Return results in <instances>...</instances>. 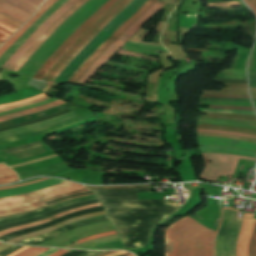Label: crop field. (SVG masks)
<instances>
[{
    "instance_id": "4177f3b9",
    "label": "crop field",
    "mask_w": 256,
    "mask_h": 256,
    "mask_svg": "<svg viewBox=\"0 0 256 256\" xmlns=\"http://www.w3.org/2000/svg\"><path fill=\"white\" fill-rule=\"evenodd\" d=\"M48 249H44V248H33L30 247L24 251H22L21 253L17 254L16 256H35L41 252H44Z\"/></svg>"
},
{
    "instance_id": "8a807250",
    "label": "crop field",
    "mask_w": 256,
    "mask_h": 256,
    "mask_svg": "<svg viewBox=\"0 0 256 256\" xmlns=\"http://www.w3.org/2000/svg\"><path fill=\"white\" fill-rule=\"evenodd\" d=\"M215 231L186 217L166 230L165 256H212Z\"/></svg>"
},
{
    "instance_id": "4a817a6b",
    "label": "crop field",
    "mask_w": 256,
    "mask_h": 256,
    "mask_svg": "<svg viewBox=\"0 0 256 256\" xmlns=\"http://www.w3.org/2000/svg\"><path fill=\"white\" fill-rule=\"evenodd\" d=\"M200 152L204 153H229V154H235L240 156H246V157H256L255 152L242 150V149H236V148H229V147H204L200 146Z\"/></svg>"
},
{
    "instance_id": "5866460e",
    "label": "crop field",
    "mask_w": 256,
    "mask_h": 256,
    "mask_svg": "<svg viewBox=\"0 0 256 256\" xmlns=\"http://www.w3.org/2000/svg\"><path fill=\"white\" fill-rule=\"evenodd\" d=\"M0 19L5 21V22H7V23H9V24H11V25H13V26H15V27H17V28H19L21 26V24L13 21V20H11V19H9V18H7V17H5V16H3L1 14H0Z\"/></svg>"
},
{
    "instance_id": "03da06ac",
    "label": "crop field",
    "mask_w": 256,
    "mask_h": 256,
    "mask_svg": "<svg viewBox=\"0 0 256 256\" xmlns=\"http://www.w3.org/2000/svg\"><path fill=\"white\" fill-rule=\"evenodd\" d=\"M55 251H57V250L51 249V250H48V251H46V252H44V253H42V254H40L38 256H48V255H50L51 253H53Z\"/></svg>"
},
{
    "instance_id": "a9b5d70f",
    "label": "crop field",
    "mask_w": 256,
    "mask_h": 256,
    "mask_svg": "<svg viewBox=\"0 0 256 256\" xmlns=\"http://www.w3.org/2000/svg\"><path fill=\"white\" fill-rule=\"evenodd\" d=\"M248 256H256V220L254 222L253 233L250 237Z\"/></svg>"
},
{
    "instance_id": "f4fd0767",
    "label": "crop field",
    "mask_w": 256,
    "mask_h": 256,
    "mask_svg": "<svg viewBox=\"0 0 256 256\" xmlns=\"http://www.w3.org/2000/svg\"><path fill=\"white\" fill-rule=\"evenodd\" d=\"M70 184H73V183H71L69 181H66V182H63V183H60V184H57V185H53V186H50V187H47V188H44V189H41V190H38V191H34V192L26 193V194H21V195H17V196H12V197L0 198V202L21 200V199L29 198V197H32V196H36V195H39V194H42V193H45V192H49V191H52V190L70 185ZM81 188H84V187L80 186V185L73 184V185H70V186H67V187H64V188L46 193V194H42V195H39V196H36V197H32V198H29V199H25V200H21V201L1 203L0 204V209L19 206V205H22V204H27V203L47 199V198H50V197H53V196H57V195H60V194L66 193V192H70V191H73V190L81 189Z\"/></svg>"
},
{
    "instance_id": "bc2a9ffb",
    "label": "crop field",
    "mask_w": 256,
    "mask_h": 256,
    "mask_svg": "<svg viewBox=\"0 0 256 256\" xmlns=\"http://www.w3.org/2000/svg\"><path fill=\"white\" fill-rule=\"evenodd\" d=\"M0 13L4 14L20 23H24L27 19L30 18V15L4 3L0 0Z\"/></svg>"
},
{
    "instance_id": "e1f06a70",
    "label": "crop field",
    "mask_w": 256,
    "mask_h": 256,
    "mask_svg": "<svg viewBox=\"0 0 256 256\" xmlns=\"http://www.w3.org/2000/svg\"><path fill=\"white\" fill-rule=\"evenodd\" d=\"M202 97H207V98H249L248 96H206V95H202Z\"/></svg>"
},
{
    "instance_id": "ac0d7876",
    "label": "crop field",
    "mask_w": 256,
    "mask_h": 256,
    "mask_svg": "<svg viewBox=\"0 0 256 256\" xmlns=\"http://www.w3.org/2000/svg\"><path fill=\"white\" fill-rule=\"evenodd\" d=\"M118 0H108L98 11H96L85 23H83L71 37L60 46L51 57L41 66L36 72L33 78L41 79L47 72L53 63H55L59 57L72 45V43L86 31L97 19H99L111 6H113ZM127 0H119L113 7H111L99 20H97L82 36H80L74 44L61 56V58L53 64L47 74L43 77V80H49L55 71L70 57L75 49L105 20H107L120 6H122Z\"/></svg>"
},
{
    "instance_id": "9d1cf04e",
    "label": "crop field",
    "mask_w": 256,
    "mask_h": 256,
    "mask_svg": "<svg viewBox=\"0 0 256 256\" xmlns=\"http://www.w3.org/2000/svg\"><path fill=\"white\" fill-rule=\"evenodd\" d=\"M0 45H1V43H0Z\"/></svg>"
},
{
    "instance_id": "28ad6ade",
    "label": "crop field",
    "mask_w": 256,
    "mask_h": 256,
    "mask_svg": "<svg viewBox=\"0 0 256 256\" xmlns=\"http://www.w3.org/2000/svg\"><path fill=\"white\" fill-rule=\"evenodd\" d=\"M132 0H128L115 14H113L105 23H103L75 52L74 54L56 71L55 75L50 79L47 85L42 90L43 92L51 85L59 73L66 67V65L78 54V52L88 44L116 15L125 9Z\"/></svg>"
},
{
    "instance_id": "733c2abd",
    "label": "crop field",
    "mask_w": 256,
    "mask_h": 256,
    "mask_svg": "<svg viewBox=\"0 0 256 256\" xmlns=\"http://www.w3.org/2000/svg\"><path fill=\"white\" fill-rule=\"evenodd\" d=\"M97 206H101V203H96V204H90V205H85V206H81V207H77V208H73V209H70V210H67V211H64V212H61L59 214H56L52 217H49L45 220H41V221H37V222H34L32 224H28V225H23V226H17V227H13V228H10V229H7V230H4V231H1L0 232V236L1 235H4V234H7L11 231H15V230H19V229H22V228H26V227H30V226H34V225H39V224H43V223H46V222H49V221H52L60 216H63L65 214H68V213H71V212H74V211H78V210H82V209H87V208H93V207H97Z\"/></svg>"
},
{
    "instance_id": "b54c1fbb",
    "label": "crop field",
    "mask_w": 256,
    "mask_h": 256,
    "mask_svg": "<svg viewBox=\"0 0 256 256\" xmlns=\"http://www.w3.org/2000/svg\"><path fill=\"white\" fill-rule=\"evenodd\" d=\"M124 253H127V252H123V251H117V252H113L107 256H118V255H121V254H124Z\"/></svg>"
},
{
    "instance_id": "0fb4a251",
    "label": "crop field",
    "mask_w": 256,
    "mask_h": 256,
    "mask_svg": "<svg viewBox=\"0 0 256 256\" xmlns=\"http://www.w3.org/2000/svg\"><path fill=\"white\" fill-rule=\"evenodd\" d=\"M251 95H256V92H251Z\"/></svg>"
},
{
    "instance_id": "5a996713",
    "label": "crop field",
    "mask_w": 256,
    "mask_h": 256,
    "mask_svg": "<svg viewBox=\"0 0 256 256\" xmlns=\"http://www.w3.org/2000/svg\"><path fill=\"white\" fill-rule=\"evenodd\" d=\"M198 144L199 145H222V146L236 147V148L256 151V144L223 139V138H215V137L198 136Z\"/></svg>"
},
{
    "instance_id": "214f88e0",
    "label": "crop field",
    "mask_w": 256,
    "mask_h": 256,
    "mask_svg": "<svg viewBox=\"0 0 256 256\" xmlns=\"http://www.w3.org/2000/svg\"><path fill=\"white\" fill-rule=\"evenodd\" d=\"M29 14H34L44 0H3Z\"/></svg>"
},
{
    "instance_id": "ae1a2a85",
    "label": "crop field",
    "mask_w": 256,
    "mask_h": 256,
    "mask_svg": "<svg viewBox=\"0 0 256 256\" xmlns=\"http://www.w3.org/2000/svg\"><path fill=\"white\" fill-rule=\"evenodd\" d=\"M200 111L226 112V113H236V114H248V115H254V112L236 111V110H217V109H204V108H200Z\"/></svg>"
},
{
    "instance_id": "bd1437ed",
    "label": "crop field",
    "mask_w": 256,
    "mask_h": 256,
    "mask_svg": "<svg viewBox=\"0 0 256 256\" xmlns=\"http://www.w3.org/2000/svg\"><path fill=\"white\" fill-rule=\"evenodd\" d=\"M42 96H45V95L41 94V95H37V96L31 97V98H28V99L23 100V101H18V102H12V103H8V104H4V105H1L0 108L9 107V106H13V105H17V104L33 101V100H35L37 98H40Z\"/></svg>"
},
{
    "instance_id": "e52e79f7",
    "label": "crop field",
    "mask_w": 256,
    "mask_h": 256,
    "mask_svg": "<svg viewBox=\"0 0 256 256\" xmlns=\"http://www.w3.org/2000/svg\"><path fill=\"white\" fill-rule=\"evenodd\" d=\"M78 0H69L54 14L51 15L14 53V55L3 65L2 69L9 71V69L17 62V60L27 51V49L74 3Z\"/></svg>"
},
{
    "instance_id": "5d738f31",
    "label": "crop field",
    "mask_w": 256,
    "mask_h": 256,
    "mask_svg": "<svg viewBox=\"0 0 256 256\" xmlns=\"http://www.w3.org/2000/svg\"><path fill=\"white\" fill-rule=\"evenodd\" d=\"M26 248H28V247H24V248H22V249H20V250H18V251H16V252H14V253H12V254L9 255V256H14V255H16L17 253L21 252L22 250H24V249H26Z\"/></svg>"
},
{
    "instance_id": "d32e631a",
    "label": "crop field",
    "mask_w": 256,
    "mask_h": 256,
    "mask_svg": "<svg viewBox=\"0 0 256 256\" xmlns=\"http://www.w3.org/2000/svg\"><path fill=\"white\" fill-rule=\"evenodd\" d=\"M0 28L5 29V30H7L11 33H13L14 31L17 30V28H15V27H13V26L5 23V22H2V21H0Z\"/></svg>"
},
{
    "instance_id": "00972430",
    "label": "crop field",
    "mask_w": 256,
    "mask_h": 256,
    "mask_svg": "<svg viewBox=\"0 0 256 256\" xmlns=\"http://www.w3.org/2000/svg\"><path fill=\"white\" fill-rule=\"evenodd\" d=\"M197 119H198V121H202V122L256 127V124H252V123H243V122H237V121H224V120H211V119H203V118H197Z\"/></svg>"
},
{
    "instance_id": "dd49c442",
    "label": "crop field",
    "mask_w": 256,
    "mask_h": 256,
    "mask_svg": "<svg viewBox=\"0 0 256 256\" xmlns=\"http://www.w3.org/2000/svg\"><path fill=\"white\" fill-rule=\"evenodd\" d=\"M156 0H148L134 15H132L119 29H117L80 67V69L67 81L75 84L79 76L96 60V58L109 47L123 32L132 24L138 17H140L148 8H150Z\"/></svg>"
},
{
    "instance_id": "dbb93151",
    "label": "crop field",
    "mask_w": 256,
    "mask_h": 256,
    "mask_svg": "<svg viewBox=\"0 0 256 256\" xmlns=\"http://www.w3.org/2000/svg\"><path fill=\"white\" fill-rule=\"evenodd\" d=\"M128 255H130V253H127V254H124V255H121V256H128Z\"/></svg>"
},
{
    "instance_id": "d23c7cc5",
    "label": "crop field",
    "mask_w": 256,
    "mask_h": 256,
    "mask_svg": "<svg viewBox=\"0 0 256 256\" xmlns=\"http://www.w3.org/2000/svg\"><path fill=\"white\" fill-rule=\"evenodd\" d=\"M254 11H255V13H256V8L252 5V4H250L247 0H244Z\"/></svg>"
},
{
    "instance_id": "b80d0937",
    "label": "crop field",
    "mask_w": 256,
    "mask_h": 256,
    "mask_svg": "<svg viewBox=\"0 0 256 256\" xmlns=\"http://www.w3.org/2000/svg\"><path fill=\"white\" fill-rule=\"evenodd\" d=\"M12 174H15V173L10 169L0 171V177L12 175Z\"/></svg>"
},
{
    "instance_id": "3316defc",
    "label": "crop field",
    "mask_w": 256,
    "mask_h": 256,
    "mask_svg": "<svg viewBox=\"0 0 256 256\" xmlns=\"http://www.w3.org/2000/svg\"><path fill=\"white\" fill-rule=\"evenodd\" d=\"M57 0H47L38 12L18 31L16 32L1 48L0 56Z\"/></svg>"
},
{
    "instance_id": "22f410ed",
    "label": "crop field",
    "mask_w": 256,
    "mask_h": 256,
    "mask_svg": "<svg viewBox=\"0 0 256 256\" xmlns=\"http://www.w3.org/2000/svg\"><path fill=\"white\" fill-rule=\"evenodd\" d=\"M63 182V180H56V179H50L47 181L35 183V184H30L18 188H13V189H7V190H1L0 191V197H6V196H12V195H17L21 193H26L34 190H38L56 183Z\"/></svg>"
},
{
    "instance_id": "028f5c9d",
    "label": "crop field",
    "mask_w": 256,
    "mask_h": 256,
    "mask_svg": "<svg viewBox=\"0 0 256 256\" xmlns=\"http://www.w3.org/2000/svg\"><path fill=\"white\" fill-rule=\"evenodd\" d=\"M10 35L11 33L0 29V42L3 43Z\"/></svg>"
},
{
    "instance_id": "730fd06b",
    "label": "crop field",
    "mask_w": 256,
    "mask_h": 256,
    "mask_svg": "<svg viewBox=\"0 0 256 256\" xmlns=\"http://www.w3.org/2000/svg\"><path fill=\"white\" fill-rule=\"evenodd\" d=\"M115 234H116V232H115V230H113V231H109V232L93 235V236H90V237H86V238L80 239V240L75 241V242L81 244L83 242H86V241H89V240H92V239H96V238H100V237H105V236H110V235H115Z\"/></svg>"
},
{
    "instance_id": "d3111659",
    "label": "crop field",
    "mask_w": 256,
    "mask_h": 256,
    "mask_svg": "<svg viewBox=\"0 0 256 256\" xmlns=\"http://www.w3.org/2000/svg\"><path fill=\"white\" fill-rule=\"evenodd\" d=\"M50 98H52V97L46 96L44 98L38 99V100L33 101V102H29V103H25V104L13 106V107L5 108V109H0V112H4V111L20 108V107H23V106L31 105V104H34V103L42 102V101H45V100L50 99Z\"/></svg>"
},
{
    "instance_id": "0bd39190",
    "label": "crop field",
    "mask_w": 256,
    "mask_h": 256,
    "mask_svg": "<svg viewBox=\"0 0 256 256\" xmlns=\"http://www.w3.org/2000/svg\"><path fill=\"white\" fill-rule=\"evenodd\" d=\"M236 2H228V3H221V4H208V6H241L240 4H238Z\"/></svg>"
},
{
    "instance_id": "d8731c3e",
    "label": "crop field",
    "mask_w": 256,
    "mask_h": 256,
    "mask_svg": "<svg viewBox=\"0 0 256 256\" xmlns=\"http://www.w3.org/2000/svg\"><path fill=\"white\" fill-rule=\"evenodd\" d=\"M87 0H79L70 9H68L18 60V62L11 68L12 70L19 71L20 68L27 62V60L38 50V48L54 33V31L80 6Z\"/></svg>"
},
{
    "instance_id": "25e5ab78",
    "label": "crop field",
    "mask_w": 256,
    "mask_h": 256,
    "mask_svg": "<svg viewBox=\"0 0 256 256\" xmlns=\"http://www.w3.org/2000/svg\"><path fill=\"white\" fill-rule=\"evenodd\" d=\"M111 252H113V251H108V252H106V253H103V254H101V255H98V256H105V255H107V254H109V253H111Z\"/></svg>"
},
{
    "instance_id": "92a150f3",
    "label": "crop field",
    "mask_w": 256,
    "mask_h": 256,
    "mask_svg": "<svg viewBox=\"0 0 256 256\" xmlns=\"http://www.w3.org/2000/svg\"><path fill=\"white\" fill-rule=\"evenodd\" d=\"M61 103H65V102H64V101H61V100H58V101H54V102L45 104V105H43V106H39V107L30 109V110H26V111L14 113V114L6 115V116H1V117H0V121H1V120H5V119H9V118H13V117H16V116L24 115V114L36 112V111H39V110H42V109H45V108H48V107H52V106L61 104Z\"/></svg>"
},
{
    "instance_id": "412701ff",
    "label": "crop field",
    "mask_w": 256,
    "mask_h": 256,
    "mask_svg": "<svg viewBox=\"0 0 256 256\" xmlns=\"http://www.w3.org/2000/svg\"><path fill=\"white\" fill-rule=\"evenodd\" d=\"M202 156L205 167L200 178L209 180H216L219 175L226 176L227 174H232L238 158L255 160L235 155L202 154ZM210 160H213L212 164L207 163Z\"/></svg>"
},
{
    "instance_id": "1d79db26",
    "label": "crop field",
    "mask_w": 256,
    "mask_h": 256,
    "mask_svg": "<svg viewBox=\"0 0 256 256\" xmlns=\"http://www.w3.org/2000/svg\"><path fill=\"white\" fill-rule=\"evenodd\" d=\"M207 95H212V94H207Z\"/></svg>"
},
{
    "instance_id": "120bbe31",
    "label": "crop field",
    "mask_w": 256,
    "mask_h": 256,
    "mask_svg": "<svg viewBox=\"0 0 256 256\" xmlns=\"http://www.w3.org/2000/svg\"><path fill=\"white\" fill-rule=\"evenodd\" d=\"M17 176L12 175V176H8V177H4V178H0V184H4V183H10V182H14L17 181Z\"/></svg>"
},
{
    "instance_id": "73cf0c24",
    "label": "crop field",
    "mask_w": 256,
    "mask_h": 256,
    "mask_svg": "<svg viewBox=\"0 0 256 256\" xmlns=\"http://www.w3.org/2000/svg\"><path fill=\"white\" fill-rule=\"evenodd\" d=\"M1 169H7L3 164H0V170Z\"/></svg>"
},
{
    "instance_id": "1d83c4d3",
    "label": "crop field",
    "mask_w": 256,
    "mask_h": 256,
    "mask_svg": "<svg viewBox=\"0 0 256 256\" xmlns=\"http://www.w3.org/2000/svg\"><path fill=\"white\" fill-rule=\"evenodd\" d=\"M209 108L236 109V110H249V111H253L251 107H232V106L209 105Z\"/></svg>"
},
{
    "instance_id": "cbeb9de0",
    "label": "crop field",
    "mask_w": 256,
    "mask_h": 256,
    "mask_svg": "<svg viewBox=\"0 0 256 256\" xmlns=\"http://www.w3.org/2000/svg\"><path fill=\"white\" fill-rule=\"evenodd\" d=\"M254 220L244 219L242 230L237 244V256H247L249 237L252 232Z\"/></svg>"
},
{
    "instance_id": "34b2d1b8",
    "label": "crop field",
    "mask_w": 256,
    "mask_h": 256,
    "mask_svg": "<svg viewBox=\"0 0 256 256\" xmlns=\"http://www.w3.org/2000/svg\"><path fill=\"white\" fill-rule=\"evenodd\" d=\"M163 5L164 3L156 1V3L149 10H147L139 19L129 26L126 31L98 57V59L81 75L76 84L85 85L86 81L106 62V60L114 55L122 47V45Z\"/></svg>"
},
{
    "instance_id": "eef30255",
    "label": "crop field",
    "mask_w": 256,
    "mask_h": 256,
    "mask_svg": "<svg viewBox=\"0 0 256 256\" xmlns=\"http://www.w3.org/2000/svg\"><path fill=\"white\" fill-rule=\"evenodd\" d=\"M196 130H197V131H203V132H212V133H218V134L242 136V137H248V138L256 139V136H254V135H246V134H238V133H229V132L214 131V130H203V129H196Z\"/></svg>"
},
{
    "instance_id": "750c4746",
    "label": "crop field",
    "mask_w": 256,
    "mask_h": 256,
    "mask_svg": "<svg viewBox=\"0 0 256 256\" xmlns=\"http://www.w3.org/2000/svg\"><path fill=\"white\" fill-rule=\"evenodd\" d=\"M197 135L219 136V137H224V138H230V139H236V140H243V141H249V142L256 143V140L248 139V138H242V137L217 135V134H211V133H197Z\"/></svg>"
},
{
    "instance_id": "1f2cbd36",
    "label": "crop field",
    "mask_w": 256,
    "mask_h": 256,
    "mask_svg": "<svg viewBox=\"0 0 256 256\" xmlns=\"http://www.w3.org/2000/svg\"><path fill=\"white\" fill-rule=\"evenodd\" d=\"M250 91H256V88H250Z\"/></svg>"
},
{
    "instance_id": "d9b57169",
    "label": "crop field",
    "mask_w": 256,
    "mask_h": 256,
    "mask_svg": "<svg viewBox=\"0 0 256 256\" xmlns=\"http://www.w3.org/2000/svg\"><path fill=\"white\" fill-rule=\"evenodd\" d=\"M84 191H88V189L87 188L81 189V190H78V191H74V192H71V193L63 194V195H60V196H57V197H54V198H50V199H47V200H44V201H40V202H36V203H32V204H27V205L15 207V208L3 209V210H0V216L10 215V214L22 212V211H25V210H29V209L45 206L44 203H46V202L53 201V200H56V199H59V198H63V197L69 196L71 194H75V193H79V192H84Z\"/></svg>"
},
{
    "instance_id": "425ffa30",
    "label": "crop field",
    "mask_w": 256,
    "mask_h": 256,
    "mask_svg": "<svg viewBox=\"0 0 256 256\" xmlns=\"http://www.w3.org/2000/svg\"><path fill=\"white\" fill-rule=\"evenodd\" d=\"M248 1L251 2L256 7V0H248Z\"/></svg>"
},
{
    "instance_id": "c21b1889",
    "label": "crop field",
    "mask_w": 256,
    "mask_h": 256,
    "mask_svg": "<svg viewBox=\"0 0 256 256\" xmlns=\"http://www.w3.org/2000/svg\"><path fill=\"white\" fill-rule=\"evenodd\" d=\"M69 250H66V249H61L60 251L50 255V256H61L63 254H65L66 252H68Z\"/></svg>"
},
{
    "instance_id": "5142ce71",
    "label": "crop field",
    "mask_w": 256,
    "mask_h": 256,
    "mask_svg": "<svg viewBox=\"0 0 256 256\" xmlns=\"http://www.w3.org/2000/svg\"><path fill=\"white\" fill-rule=\"evenodd\" d=\"M78 121H81V119H79L78 117H76V118H74V119L68 120V121H66V122L60 123V124L55 125V126H51V127H47V128H44V129H40V130L28 132V133L21 134V135H17V136L2 138V139H0V144H2V143H7V142H11V141H16V140H20V139H24V138L36 136V135H40V134L46 133V132H48V131L55 130V129H59V128L65 127V126H67V125L76 123V122H78Z\"/></svg>"
},
{
    "instance_id": "d1516ede",
    "label": "crop field",
    "mask_w": 256,
    "mask_h": 256,
    "mask_svg": "<svg viewBox=\"0 0 256 256\" xmlns=\"http://www.w3.org/2000/svg\"><path fill=\"white\" fill-rule=\"evenodd\" d=\"M104 214H106L105 211H101V212H95V213H90V214H85V215L77 216V217L68 219V220H66V221H63V222H61V223H58V224H56V225H53V226L44 228V229H42V230H40V231L33 232V233H30V234H26V235H23V236H20V237L11 239V240L6 241V242H13V243H16V242H18V241H21V240H24V239H28V238L34 237V236H36V235H39V234H42V233H46V232L55 230V229H57V228L62 227L63 225H65V224H67V223H71V222H74V221L82 220V219L89 218V217H93V216L104 215Z\"/></svg>"
},
{
    "instance_id": "447ae74e",
    "label": "crop field",
    "mask_w": 256,
    "mask_h": 256,
    "mask_svg": "<svg viewBox=\"0 0 256 256\" xmlns=\"http://www.w3.org/2000/svg\"><path fill=\"white\" fill-rule=\"evenodd\" d=\"M1 244V243H0Z\"/></svg>"
},
{
    "instance_id": "c035e120",
    "label": "crop field",
    "mask_w": 256,
    "mask_h": 256,
    "mask_svg": "<svg viewBox=\"0 0 256 256\" xmlns=\"http://www.w3.org/2000/svg\"><path fill=\"white\" fill-rule=\"evenodd\" d=\"M43 180H47V178H43L34 182H30V183H35V182H39V181H43ZM30 183H26V184H30ZM26 184H22V185H26ZM22 185H14V186H7V187H0V189H6V188H13V187H18V186H22Z\"/></svg>"
},
{
    "instance_id": "dafd665d",
    "label": "crop field",
    "mask_w": 256,
    "mask_h": 256,
    "mask_svg": "<svg viewBox=\"0 0 256 256\" xmlns=\"http://www.w3.org/2000/svg\"><path fill=\"white\" fill-rule=\"evenodd\" d=\"M202 93L247 95V89L222 88L221 91H203Z\"/></svg>"
},
{
    "instance_id": "89e229c0",
    "label": "crop field",
    "mask_w": 256,
    "mask_h": 256,
    "mask_svg": "<svg viewBox=\"0 0 256 256\" xmlns=\"http://www.w3.org/2000/svg\"><path fill=\"white\" fill-rule=\"evenodd\" d=\"M244 217L252 218V215L245 214V216H244Z\"/></svg>"
}]
</instances>
